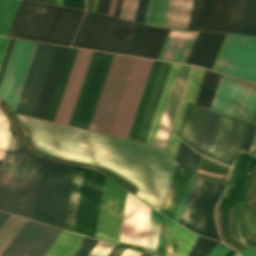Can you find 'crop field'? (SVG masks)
<instances>
[{
    "mask_svg": "<svg viewBox=\"0 0 256 256\" xmlns=\"http://www.w3.org/2000/svg\"><path fill=\"white\" fill-rule=\"evenodd\" d=\"M170 222H171V219H169L165 216L162 217L160 235H159L157 252H156V254L159 256H165Z\"/></svg>",
    "mask_w": 256,
    "mask_h": 256,
    "instance_id": "crop-field-47",
    "label": "crop field"
},
{
    "mask_svg": "<svg viewBox=\"0 0 256 256\" xmlns=\"http://www.w3.org/2000/svg\"><path fill=\"white\" fill-rule=\"evenodd\" d=\"M204 72H205V69L194 66L189 83L187 85V88L183 97L184 100L194 103Z\"/></svg>",
    "mask_w": 256,
    "mask_h": 256,
    "instance_id": "crop-field-44",
    "label": "crop field"
},
{
    "mask_svg": "<svg viewBox=\"0 0 256 256\" xmlns=\"http://www.w3.org/2000/svg\"><path fill=\"white\" fill-rule=\"evenodd\" d=\"M105 175L84 168L74 232L94 238Z\"/></svg>",
    "mask_w": 256,
    "mask_h": 256,
    "instance_id": "crop-field-12",
    "label": "crop field"
},
{
    "mask_svg": "<svg viewBox=\"0 0 256 256\" xmlns=\"http://www.w3.org/2000/svg\"><path fill=\"white\" fill-rule=\"evenodd\" d=\"M17 116L36 147L110 169L138 187L136 196L160 210L177 165L166 149Z\"/></svg>",
    "mask_w": 256,
    "mask_h": 256,
    "instance_id": "crop-field-1",
    "label": "crop field"
},
{
    "mask_svg": "<svg viewBox=\"0 0 256 256\" xmlns=\"http://www.w3.org/2000/svg\"><path fill=\"white\" fill-rule=\"evenodd\" d=\"M122 0H118L114 16L118 17Z\"/></svg>",
    "mask_w": 256,
    "mask_h": 256,
    "instance_id": "crop-field-69",
    "label": "crop field"
},
{
    "mask_svg": "<svg viewBox=\"0 0 256 256\" xmlns=\"http://www.w3.org/2000/svg\"><path fill=\"white\" fill-rule=\"evenodd\" d=\"M226 34L199 32L186 63L212 68Z\"/></svg>",
    "mask_w": 256,
    "mask_h": 256,
    "instance_id": "crop-field-21",
    "label": "crop field"
},
{
    "mask_svg": "<svg viewBox=\"0 0 256 256\" xmlns=\"http://www.w3.org/2000/svg\"><path fill=\"white\" fill-rule=\"evenodd\" d=\"M113 55L93 52L69 125L89 128Z\"/></svg>",
    "mask_w": 256,
    "mask_h": 256,
    "instance_id": "crop-field-7",
    "label": "crop field"
},
{
    "mask_svg": "<svg viewBox=\"0 0 256 256\" xmlns=\"http://www.w3.org/2000/svg\"><path fill=\"white\" fill-rule=\"evenodd\" d=\"M218 241L198 236L189 256H205Z\"/></svg>",
    "mask_w": 256,
    "mask_h": 256,
    "instance_id": "crop-field-45",
    "label": "crop field"
},
{
    "mask_svg": "<svg viewBox=\"0 0 256 256\" xmlns=\"http://www.w3.org/2000/svg\"><path fill=\"white\" fill-rule=\"evenodd\" d=\"M200 156V154L194 152L186 144L181 142L175 160L191 173L195 174Z\"/></svg>",
    "mask_w": 256,
    "mask_h": 256,
    "instance_id": "crop-field-43",
    "label": "crop field"
},
{
    "mask_svg": "<svg viewBox=\"0 0 256 256\" xmlns=\"http://www.w3.org/2000/svg\"><path fill=\"white\" fill-rule=\"evenodd\" d=\"M244 0H194L187 30L236 33Z\"/></svg>",
    "mask_w": 256,
    "mask_h": 256,
    "instance_id": "crop-field-6",
    "label": "crop field"
},
{
    "mask_svg": "<svg viewBox=\"0 0 256 256\" xmlns=\"http://www.w3.org/2000/svg\"><path fill=\"white\" fill-rule=\"evenodd\" d=\"M190 172L177 165L160 212L173 217Z\"/></svg>",
    "mask_w": 256,
    "mask_h": 256,
    "instance_id": "crop-field-26",
    "label": "crop field"
},
{
    "mask_svg": "<svg viewBox=\"0 0 256 256\" xmlns=\"http://www.w3.org/2000/svg\"><path fill=\"white\" fill-rule=\"evenodd\" d=\"M14 40H15V39H12V40H11V43H10V46H9V48H8V51H7V54H6V57H5L3 66H2V68H1V71H0V81H1V78H2V75H3V72H4V69H5V66H6V64H7V61H8V58H9V55H10V52H11V49H12Z\"/></svg>",
    "mask_w": 256,
    "mask_h": 256,
    "instance_id": "crop-field-62",
    "label": "crop field"
},
{
    "mask_svg": "<svg viewBox=\"0 0 256 256\" xmlns=\"http://www.w3.org/2000/svg\"><path fill=\"white\" fill-rule=\"evenodd\" d=\"M83 236L63 230L45 256H69Z\"/></svg>",
    "mask_w": 256,
    "mask_h": 256,
    "instance_id": "crop-field-33",
    "label": "crop field"
},
{
    "mask_svg": "<svg viewBox=\"0 0 256 256\" xmlns=\"http://www.w3.org/2000/svg\"><path fill=\"white\" fill-rule=\"evenodd\" d=\"M64 164L41 159L32 220L54 226Z\"/></svg>",
    "mask_w": 256,
    "mask_h": 256,
    "instance_id": "crop-field-9",
    "label": "crop field"
},
{
    "mask_svg": "<svg viewBox=\"0 0 256 256\" xmlns=\"http://www.w3.org/2000/svg\"><path fill=\"white\" fill-rule=\"evenodd\" d=\"M61 231L27 220L0 256H43Z\"/></svg>",
    "mask_w": 256,
    "mask_h": 256,
    "instance_id": "crop-field-18",
    "label": "crop field"
},
{
    "mask_svg": "<svg viewBox=\"0 0 256 256\" xmlns=\"http://www.w3.org/2000/svg\"><path fill=\"white\" fill-rule=\"evenodd\" d=\"M180 141H181L180 139H178L175 135L171 133L166 148L170 152V154L173 156V158H175Z\"/></svg>",
    "mask_w": 256,
    "mask_h": 256,
    "instance_id": "crop-field-55",
    "label": "crop field"
},
{
    "mask_svg": "<svg viewBox=\"0 0 256 256\" xmlns=\"http://www.w3.org/2000/svg\"><path fill=\"white\" fill-rule=\"evenodd\" d=\"M137 3L138 0H123L119 17L133 21Z\"/></svg>",
    "mask_w": 256,
    "mask_h": 256,
    "instance_id": "crop-field-48",
    "label": "crop field"
},
{
    "mask_svg": "<svg viewBox=\"0 0 256 256\" xmlns=\"http://www.w3.org/2000/svg\"><path fill=\"white\" fill-rule=\"evenodd\" d=\"M113 247V245L99 241L89 256H107Z\"/></svg>",
    "mask_w": 256,
    "mask_h": 256,
    "instance_id": "crop-field-52",
    "label": "crop field"
},
{
    "mask_svg": "<svg viewBox=\"0 0 256 256\" xmlns=\"http://www.w3.org/2000/svg\"><path fill=\"white\" fill-rule=\"evenodd\" d=\"M215 183L202 181L201 186L198 190L194 203L191 207L189 215L184 224L185 227H188L193 232L196 233L198 225L200 223L201 217L203 215L204 209L210 197L211 191Z\"/></svg>",
    "mask_w": 256,
    "mask_h": 256,
    "instance_id": "crop-field-28",
    "label": "crop field"
},
{
    "mask_svg": "<svg viewBox=\"0 0 256 256\" xmlns=\"http://www.w3.org/2000/svg\"><path fill=\"white\" fill-rule=\"evenodd\" d=\"M200 106L193 104H187L179 131L177 136L180 137L184 142L189 144L199 111Z\"/></svg>",
    "mask_w": 256,
    "mask_h": 256,
    "instance_id": "crop-field-38",
    "label": "crop field"
},
{
    "mask_svg": "<svg viewBox=\"0 0 256 256\" xmlns=\"http://www.w3.org/2000/svg\"><path fill=\"white\" fill-rule=\"evenodd\" d=\"M255 207H256V205H255Z\"/></svg>",
    "mask_w": 256,
    "mask_h": 256,
    "instance_id": "crop-field-78",
    "label": "crop field"
},
{
    "mask_svg": "<svg viewBox=\"0 0 256 256\" xmlns=\"http://www.w3.org/2000/svg\"><path fill=\"white\" fill-rule=\"evenodd\" d=\"M229 35H230V34H227L226 37H225V40H224V42H223V44H222V47H221V49H220V52H219V54H218V56H217V59H216V61H215V64H214V66H213V68H212L213 70L215 69V67H216V65H217V62H218V60H219V58H220V55H221V53H222V51H223V49H224V46H225V44H226V42H227V39H228Z\"/></svg>",
    "mask_w": 256,
    "mask_h": 256,
    "instance_id": "crop-field-66",
    "label": "crop field"
},
{
    "mask_svg": "<svg viewBox=\"0 0 256 256\" xmlns=\"http://www.w3.org/2000/svg\"><path fill=\"white\" fill-rule=\"evenodd\" d=\"M201 179H196V181H195V184H194V186H193V189H192V191H191V194H190V196H189V199H188V201H187V204H186V206H185V209H184V211H183V214H182V216H181V219H180V223L181 224H184V222H185V219H186V217H187V215H188V212H189V210H190V207H191V205H192V202H193V200H194V198H195V195H196V193H197V190H198V188H199V186H200V183H201Z\"/></svg>",
    "mask_w": 256,
    "mask_h": 256,
    "instance_id": "crop-field-51",
    "label": "crop field"
},
{
    "mask_svg": "<svg viewBox=\"0 0 256 256\" xmlns=\"http://www.w3.org/2000/svg\"><path fill=\"white\" fill-rule=\"evenodd\" d=\"M67 47H57L46 82L33 117L45 119L54 96L59 77L68 52Z\"/></svg>",
    "mask_w": 256,
    "mask_h": 256,
    "instance_id": "crop-field-22",
    "label": "crop field"
},
{
    "mask_svg": "<svg viewBox=\"0 0 256 256\" xmlns=\"http://www.w3.org/2000/svg\"><path fill=\"white\" fill-rule=\"evenodd\" d=\"M172 63L154 61L129 137L146 141Z\"/></svg>",
    "mask_w": 256,
    "mask_h": 256,
    "instance_id": "crop-field-10",
    "label": "crop field"
},
{
    "mask_svg": "<svg viewBox=\"0 0 256 256\" xmlns=\"http://www.w3.org/2000/svg\"><path fill=\"white\" fill-rule=\"evenodd\" d=\"M75 166L65 164L55 226L65 227Z\"/></svg>",
    "mask_w": 256,
    "mask_h": 256,
    "instance_id": "crop-field-30",
    "label": "crop field"
},
{
    "mask_svg": "<svg viewBox=\"0 0 256 256\" xmlns=\"http://www.w3.org/2000/svg\"><path fill=\"white\" fill-rule=\"evenodd\" d=\"M64 6L85 10L84 0H63Z\"/></svg>",
    "mask_w": 256,
    "mask_h": 256,
    "instance_id": "crop-field-59",
    "label": "crop field"
},
{
    "mask_svg": "<svg viewBox=\"0 0 256 256\" xmlns=\"http://www.w3.org/2000/svg\"><path fill=\"white\" fill-rule=\"evenodd\" d=\"M169 0H150L145 23L163 27Z\"/></svg>",
    "mask_w": 256,
    "mask_h": 256,
    "instance_id": "crop-field-40",
    "label": "crop field"
},
{
    "mask_svg": "<svg viewBox=\"0 0 256 256\" xmlns=\"http://www.w3.org/2000/svg\"><path fill=\"white\" fill-rule=\"evenodd\" d=\"M249 126L248 123L220 114L207 156L231 166L243 146Z\"/></svg>",
    "mask_w": 256,
    "mask_h": 256,
    "instance_id": "crop-field-15",
    "label": "crop field"
},
{
    "mask_svg": "<svg viewBox=\"0 0 256 256\" xmlns=\"http://www.w3.org/2000/svg\"><path fill=\"white\" fill-rule=\"evenodd\" d=\"M20 1L0 0V35H7Z\"/></svg>",
    "mask_w": 256,
    "mask_h": 256,
    "instance_id": "crop-field-39",
    "label": "crop field"
},
{
    "mask_svg": "<svg viewBox=\"0 0 256 256\" xmlns=\"http://www.w3.org/2000/svg\"><path fill=\"white\" fill-rule=\"evenodd\" d=\"M149 0H139L134 21L144 23Z\"/></svg>",
    "mask_w": 256,
    "mask_h": 256,
    "instance_id": "crop-field-53",
    "label": "crop field"
},
{
    "mask_svg": "<svg viewBox=\"0 0 256 256\" xmlns=\"http://www.w3.org/2000/svg\"><path fill=\"white\" fill-rule=\"evenodd\" d=\"M242 256H256V245L239 252Z\"/></svg>",
    "mask_w": 256,
    "mask_h": 256,
    "instance_id": "crop-field-64",
    "label": "crop field"
},
{
    "mask_svg": "<svg viewBox=\"0 0 256 256\" xmlns=\"http://www.w3.org/2000/svg\"><path fill=\"white\" fill-rule=\"evenodd\" d=\"M88 3V0H86V4Z\"/></svg>",
    "mask_w": 256,
    "mask_h": 256,
    "instance_id": "crop-field-76",
    "label": "crop field"
},
{
    "mask_svg": "<svg viewBox=\"0 0 256 256\" xmlns=\"http://www.w3.org/2000/svg\"><path fill=\"white\" fill-rule=\"evenodd\" d=\"M235 252L231 249L225 256H232Z\"/></svg>",
    "mask_w": 256,
    "mask_h": 256,
    "instance_id": "crop-field-70",
    "label": "crop field"
},
{
    "mask_svg": "<svg viewBox=\"0 0 256 256\" xmlns=\"http://www.w3.org/2000/svg\"><path fill=\"white\" fill-rule=\"evenodd\" d=\"M191 66L180 65L156 140L154 144L164 147L177 106L179 104Z\"/></svg>",
    "mask_w": 256,
    "mask_h": 256,
    "instance_id": "crop-field-23",
    "label": "crop field"
},
{
    "mask_svg": "<svg viewBox=\"0 0 256 256\" xmlns=\"http://www.w3.org/2000/svg\"><path fill=\"white\" fill-rule=\"evenodd\" d=\"M47 3L55 4V0H47Z\"/></svg>",
    "mask_w": 256,
    "mask_h": 256,
    "instance_id": "crop-field-72",
    "label": "crop field"
},
{
    "mask_svg": "<svg viewBox=\"0 0 256 256\" xmlns=\"http://www.w3.org/2000/svg\"><path fill=\"white\" fill-rule=\"evenodd\" d=\"M117 0H112L109 15L113 16Z\"/></svg>",
    "mask_w": 256,
    "mask_h": 256,
    "instance_id": "crop-field-68",
    "label": "crop field"
},
{
    "mask_svg": "<svg viewBox=\"0 0 256 256\" xmlns=\"http://www.w3.org/2000/svg\"><path fill=\"white\" fill-rule=\"evenodd\" d=\"M192 33L171 30L158 59L179 62Z\"/></svg>",
    "mask_w": 256,
    "mask_h": 256,
    "instance_id": "crop-field-27",
    "label": "crop field"
},
{
    "mask_svg": "<svg viewBox=\"0 0 256 256\" xmlns=\"http://www.w3.org/2000/svg\"><path fill=\"white\" fill-rule=\"evenodd\" d=\"M151 26L141 24L128 54L139 56Z\"/></svg>",
    "mask_w": 256,
    "mask_h": 256,
    "instance_id": "crop-field-46",
    "label": "crop field"
},
{
    "mask_svg": "<svg viewBox=\"0 0 256 256\" xmlns=\"http://www.w3.org/2000/svg\"><path fill=\"white\" fill-rule=\"evenodd\" d=\"M10 40L11 39L9 38L0 37V68L3 63Z\"/></svg>",
    "mask_w": 256,
    "mask_h": 256,
    "instance_id": "crop-field-57",
    "label": "crop field"
},
{
    "mask_svg": "<svg viewBox=\"0 0 256 256\" xmlns=\"http://www.w3.org/2000/svg\"><path fill=\"white\" fill-rule=\"evenodd\" d=\"M97 1L98 0L95 1V5H94V9H93L94 12H95V9H96Z\"/></svg>",
    "mask_w": 256,
    "mask_h": 256,
    "instance_id": "crop-field-74",
    "label": "crop field"
},
{
    "mask_svg": "<svg viewBox=\"0 0 256 256\" xmlns=\"http://www.w3.org/2000/svg\"><path fill=\"white\" fill-rule=\"evenodd\" d=\"M210 109L251 122L256 110V85L222 75Z\"/></svg>",
    "mask_w": 256,
    "mask_h": 256,
    "instance_id": "crop-field-8",
    "label": "crop field"
},
{
    "mask_svg": "<svg viewBox=\"0 0 256 256\" xmlns=\"http://www.w3.org/2000/svg\"><path fill=\"white\" fill-rule=\"evenodd\" d=\"M110 1L111 0H99L96 12L107 15Z\"/></svg>",
    "mask_w": 256,
    "mask_h": 256,
    "instance_id": "crop-field-60",
    "label": "crop field"
},
{
    "mask_svg": "<svg viewBox=\"0 0 256 256\" xmlns=\"http://www.w3.org/2000/svg\"><path fill=\"white\" fill-rule=\"evenodd\" d=\"M76 50L77 49H73V48L69 49L67 59H66L61 77H60V81H59L55 96L53 98L50 110H49L47 118H46L48 120H52V121L54 120V117H55V114H56V111H57V108H58V105H59L64 87H65V83H66V80H67V77H68V74H69V71H70V68H71Z\"/></svg>",
    "mask_w": 256,
    "mask_h": 256,
    "instance_id": "crop-field-37",
    "label": "crop field"
},
{
    "mask_svg": "<svg viewBox=\"0 0 256 256\" xmlns=\"http://www.w3.org/2000/svg\"><path fill=\"white\" fill-rule=\"evenodd\" d=\"M154 60L136 58L111 133L128 137Z\"/></svg>",
    "mask_w": 256,
    "mask_h": 256,
    "instance_id": "crop-field-11",
    "label": "crop field"
},
{
    "mask_svg": "<svg viewBox=\"0 0 256 256\" xmlns=\"http://www.w3.org/2000/svg\"><path fill=\"white\" fill-rule=\"evenodd\" d=\"M220 74L206 70L197 99L196 104L209 109L214 93L216 91Z\"/></svg>",
    "mask_w": 256,
    "mask_h": 256,
    "instance_id": "crop-field-34",
    "label": "crop field"
},
{
    "mask_svg": "<svg viewBox=\"0 0 256 256\" xmlns=\"http://www.w3.org/2000/svg\"><path fill=\"white\" fill-rule=\"evenodd\" d=\"M93 51L78 49L66 87L55 117V122L69 124Z\"/></svg>",
    "mask_w": 256,
    "mask_h": 256,
    "instance_id": "crop-field-19",
    "label": "crop field"
},
{
    "mask_svg": "<svg viewBox=\"0 0 256 256\" xmlns=\"http://www.w3.org/2000/svg\"><path fill=\"white\" fill-rule=\"evenodd\" d=\"M9 216H10V214H6V213H3V212H0V228L3 226V224L9 218Z\"/></svg>",
    "mask_w": 256,
    "mask_h": 256,
    "instance_id": "crop-field-67",
    "label": "crop field"
},
{
    "mask_svg": "<svg viewBox=\"0 0 256 256\" xmlns=\"http://www.w3.org/2000/svg\"><path fill=\"white\" fill-rule=\"evenodd\" d=\"M82 170H83V168H81V167L76 166V168H75L71 198H70L66 227H65V229L71 230V231L73 229V223H74L77 199H78V194H79Z\"/></svg>",
    "mask_w": 256,
    "mask_h": 256,
    "instance_id": "crop-field-42",
    "label": "crop field"
},
{
    "mask_svg": "<svg viewBox=\"0 0 256 256\" xmlns=\"http://www.w3.org/2000/svg\"><path fill=\"white\" fill-rule=\"evenodd\" d=\"M193 0H170L164 27L187 28Z\"/></svg>",
    "mask_w": 256,
    "mask_h": 256,
    "instance_id": "crop-field-29",
    "label": "crop field"
},
{
    "mask_svg": "<svg viewBox=\"0 0 256 256\" xmlns=\"http://www.w3.org/2000/svg\"><path fill=\"white\" fill-rule=\"evenodd\" d=\"M222 190V185L220 184H215V187L213 189L211 198L209 200L208 206L206 208L204 217L202 219V222L200 224V227L197 231L198 234L207 236L213 239L220 240L219 235L217 233L215 224H214V219H213V208L218 200ZM222 195V194H221ZM221 241V240H220Z\"/></svg>",
    "mask_w": 256,
    "mask_h": 256,
    "instance_id": "crop-field-32",
    "label": "crop field"
},
{
    "mask_svg": "<svg viewBox=\"0 0 256 256\" xmlns=\"http://www.w3.org/2000/svg\"><path fill=\"white\" fill-rule=\"evenodd\" d=\"M139 25L87 12L72 46L127 54Z\"/></svg>",
    "mask_w": 256,
    "mask_h": 256,
    "instance_id": "crop-field-4",
    "label": "crop field"
},
{
    "mask_svg": "<svg viewBox=\"0 0 256 256\" xmlns=\"http://www.w3.org/2000/svg\"><path fill=\"white\" fill-rule=\"evenodd\" d=\"M256 154V153H255Z\"/></svg>",
    "mask_w": 256,
    "mask_h": 256,
    "instance_id": "crop-field-79",
    "label": "crop field"
},
{
    "mask_svg": "<svg viewBox=\"0 0 256 256\" xmlns=\"http://www.w3.org/2000/svg\"><path fill=\"white\" fill-rule=\"evenodd\" d=\"M255 133H256V126L253 125V126H252V129H251V131H250L249 137H248V139H247V142H246L244 151H249L250 144H251V141H252V139H253Z\"/></svg>",
    "mask_w": 256,
    "mask_h": 256,
    "instance_id": "crop-field-63",
    "label": "crop field"
},
{
    "mask_svg": "<svg viewBox=\"0 0 256 256\" xmlns=\"http://www.w3.org/2000/svg\"><path fill=\"white\" fill-rule=\"evenodd\" d=\"M56 47L38 44L15 113L33 116Z\"/></svg>",
    "mask_w": 256,
    "mask_h": 256,
    "instance_id": "crop-field-16",
    "label": "crop field"
},
{
    "mask_svg": "<svg viewBox=\"0 0 256 256\" xmlns=\"http://www.w3.org/2000/svg\"><path fill=\"white\" fill-rule=\"evenodd\" d=\"M56 4L63 6V1L62 0H56Z\"/></svg>",
    "mask_w": 256,
    "mask_h": 256,
    "instance_id": "crop-field-71",
    "label": "crop field"
},
{
    "mask_svg": "<svg viewBox=\"0 0 256 256\" xmlns=\"http://www.w3.org/2000/svg\"><path fill=\"white\" fill-rule=\"evenodd\" d=\"M237 33L256 36V0H245Z\"/></svg>",
    "mask_w": 256,
    "mask_h": 256,
    "instance_id": "crop-field-36",
    "label": "crop field"
},
{
    "mask_svg": "<svg viewBox=\"0 0 256 256\" xmlns=\"http://www.w3.org/2000/svg\"><path fill=\"white\" fill-rule=\"evenodd\" d=\"M127 191L105 178L96 239L118 243Z\"/></svg>",
    "mask_w": 256,
    "mask_h": 256,
    "instance_id": "crop-field-14",
    "label": "crop field"
},
{
    "mask_svg": "<svg viewBox=\"0 0 256 256\" xmlns=\"http://www.w3.org/2000/svg\"><path fill=\"white\" fill-rule=\"evenodd\" d=\"M254 124H256V120L254 121Z\"/></svg>",
    "mask_w": 256,
    "mask_h": 256,
    "instance_id": "crop-field-77",
    "label": "crop field"
},
{
    "mask_svg": "<svg viewBox=\"0 0 256 256\" xmlns=\"http://www.w3.org/2000/svg\"><path fill=\"white\" fill-rule=\"evenodd\" d=\"M197 33H198V32H194V33H193V35H192V37H191V39H190V41H189V44H188V46H187V48H186V50H185V53H184V55H183V57H182V59H181L180 62H183V63L186 62L187 57H188L189 52H190V49H191V47H192V44H193V42H194V39H195Z\"/></svg>",
    "mask_w": 256,
    "mask_h": 256,
    "instance_id": "crop-field-61",
    "label": "crop field"
},
{
    "mask_svg": "<svg viewBox=\"0 0 256 256\" xmlns=\"http://www.w3.org/2000/svg\"><path fill=\"white\" fill-rule=\"evenodd\" d=\"M179 65L180 64H176V63L172 64V67H171V70H170V73H169V76H168V79H167V82H166V85H165V88H164V91H163V94H162V97L160 100V103L158 105L151 129H150L147 141H146L149 144L154 143V140H155V137H156V134H157V131H158V128H159V125H160L170 92H171V89H172V86H173V83H174V80H175V77H176V74H177V71L179 68Z\"/></svg>",
    "mask_w": 256,
    "mask_h": 256,
    "instance_id": "crop-field-31",
    "label": "crop field"
},
{
    "mask_svg": "<svg viewBox=\"0 0 256 256\" xmlns=\"http://www.w3.org/2000/svg\"><path fill=\"white\" fill-rule=\"evenodd\" d=\"M97 240L87 238L80 249L74 256H88L94 246L97 244Z\"/></svg>",
    "mask_w": 256,
    "mask_h": 256,
    "instance_id": "crop-field-54",
    "label": "crop field"
},
{
    "mask_svg": "<svg viewBox=\"0 0 256 256\" xmlns=\"http://www.w3.org/2000/svg\"><path fill=\"white\" fill-rule=\"evenodd\" d=\"M35 43L15 41L3 79L0 96L15 110L35 48ZM3 99V100H4Z\"/></svg>",
    "mask_w": 256,
    "mask_h": 256,
    "instance_id": "crop-field-17",
    "label": "crop field"
},
{
    "mask_svg": "<svg viewBox=\"0 0 256 256\" xmlns=\"http://www.w3.org/2000/svg\"><path fill=\"white\" fill-rule=\"evenodd\" d=\"M140 254L141 252L126 248L121 256H140Z\"/></svg>",
    "mask_w": 256,
    "mask_h": 256,
    "instance_id": "crop-field-65",
    "label": "crop field"
},
{
    "mask_svg": "<svg viewBox=\"0 0 256 256\" xmlns=\"http://www.w3.org/2000/svg\"><path fill=\"white\" fill-rule=\"evenodd\" d=\"M186 104L187 103L184 102V101L181 102V105H180V108H179V111H178V114H177V117H176L173 129H172V132L175 133V134H177V131H178V128H179V125H180V122H181V119H182V116H183Z\"/></svg>",
    "mask_w": 256,
    "mask_h": 256,
    "instance_id": "crop-field-58",
    "label": "crop field"
},
{
    "mask_svg": "<svg viewBox=\"0 0 256 256\" xmlns=\"http://www.w3.org/2000/svg\"><path fill=\"white\" fill-rule=\"evenodd\" d=\"M134 59L133 57L114 55L89 129L110 133Z\"/></svg>",
    "mask_w": 256,
    "mask_h": 256,
    "instance_id": "crop-field-5",
    "label": "crop field"
},
{
    "mask_svg": "<svg viewBox=\"0 0 256 256\" xmlns=\"http://www.w3.org/2000/svg\"><path fill=\"white\" fill-rule=\"evenodd\" d=\"M218 113L201 108L189 146L195 151L205 155L217 118Z\"/></svg>",
    "mask_w": 256,
    "mask_h": 256,
    "instance_id": "crop-field-24",
    "label": "crop field"
},
{
    "mask_svg": "<svg viewBox=\"0 0 256 256\" xmlns=\"http://www.w3.org/2000/svg\"><path fill=\"white\" fill-rule=\"evenodd\" d=\"M215 70L256 82V37L231 34Z\"/></svg>",
    "mask_w": 256,
    "mask_h": 256,
    "instance_id": "crop-field-13",
    "label": "crop field"
},
{
    "mask_svg": "<svg viewBox=\"0 0 256 256\" xmlns=\"http://www.w3.org/2000/svg\"><path fill=\"white\" fill-rule=\"evenodd\" d=\"M197 236L198 235L172 221L166 256L171 255L176 241V250L172 256H188Z\"/></svg>",
    "mask_w": 256,
    "mask_h": 256,
    "instance_id": "crop-field-25",
    "label": "crop field"
},
{
    "mask_svg": "<svg viewBox=\"0 0 256 256\" xmlns=\"http://www.w3.org/2000/svg\"><path fill=\"white\" fill-rule=\"evenodd\" d=\"M230 249L219 242L207 256H224Z\"/></svg>",
    "mask_w": 256,
    "mask_h": 256,
    "instance_id": "crop-field-56",
    "label": "crop field"
},
{
    "mask_svg": "<svg viewBox=\"0 0 256 256\" xmlns=\"http://www.w3.org/2000/svg\"><path fill=\"white\" fill-rule=\"evenodd\" d=\"M169 29L153 26L140 56L157 59Z\"/></svg>",
    "mask_w": 256,
    "mask_h": 256,
    "instance_id": "crop-field-35",
    "label": "crop field"
},
{
    "mask_svg": "<svg viewBox=\"0 0 256 256\" xmlns=\"http://www.w3.org/2000/svg\"><path fill=\"white\" fill-rule=\"evenodd\" d=\"M233 256H239V255L235 253Z\"/></svg>",
    "mask_w": 256,
    "mask_h": 256,
    "instance_id": "crop-field-75",
    "label": "crop field"
},
{
    "mask_svg": "<svg viewBox=\"0 0 256 256\" xmlns=\"http://www.w3.org/2000/svg\"><path fill=\"white\" fill-rule=\"evenodd\" d=\"M32 1H38V2H44V3H46V0H32Z\"/></svg>",
    "mask_w": 256,
    "mask_h": 256,
    "instance_id": "crop-field-73",
    "label": "crop field"
},
{
    "mask_svg": "<svg viewBox=\"0 0 256 256\" xmlns=\"http://www.w3.org/2000/svg\"><path fill=\"white\" fill-rule=\"evenodd\" d=\"M26 219L19 218L11 215L7 222L0 230V254L16 235L22 225L25 223Z\"/></svg>",
    "mask_w": 256,
    "mask_h": 256,
    "instance_id": "crop-field-41",
    "label": "crop field"
},
{
    "mask_svg": "<svg viewBox=\"0 0 256 256\" xmlns=\"http://www.w3.org/2000/svg\"><path fill=\"white\" fill-rule=\"evenodd\" d=\"M83 13L22 0L7 36L70 46Z\"/></svg>",
    "mask_w": 256,
    "mask_h": 256,
    "instance_id": "crop-field-3",
    "label": "crop field"
},
{
    "mask_svg": "<svg viewBox=\"0 0 256 256\" xmlns=\"http://www.w3.org/2000/svg\"><path fill=\"white\" fill-rule=\"evenodd\" d=\"M40 159L9 125L0 177V210L30 219Z\"/></svg>",
    "mask_w": 256,
    "mask_h": 256,
    "instance_id": "crop-field-2",
    "label": "crop field"
},
{
    "mask_svg": "<svg viewBox=\"0 0 256 256\" xmlns=\"http://www.w3.org/2000/svg\"><path fill=\"white\" fill-rule=\"evenodd\" d=\"M195 179H196V177L193 176L192 174H190L188 182L186 184V187L184 189L183 195L181 197L180 203L178 205V208H177L175 216H174V219H176V220H179V218H180V215H181L182 210H183V208L185 206V203L187 201V198L189 196V193L191 191V188H192V186L194 184Z\"/></svg>",
    "mask_w": 256,
    "mask_h": 256,
    "instance_id": "crop-field-49",
    "label": "crop field"
},
{
    "mask_svg": "<svg viewBox=\"0 0 256 256\" xmlns=\"http://www.w3.org/2000/svg\"><path fill=\"white\" fill-rule=\"evenodd\" d=\"M8 125H9L8 120L0 110V160H2L3 158ZM1 163L2 161H0V169H1Z\"/></svg>",
    "mask_w": 256,
    "mask_h": 256,
    "instance_id": "crop-field-50",
    "label": "crop field"
},
{
    "mask_svg": "<svg viewBox=\"0 0 256 256\" xmlns=\"http://www.w3.org/2000/svg\"><path fill=\"white\" fill-rule=\"evenodd\" d=\"M151 208L127 194L120 241L143 246Z\"/></svg>",
    "mask_w": 256,
    "mask_h": 256,
    "instance_id": "crop-field-20",
    "label": "crop field"
}]
</instances>
